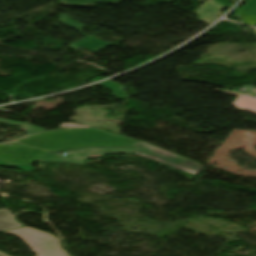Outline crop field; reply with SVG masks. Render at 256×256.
Here are the masks:
<instances>
[{
  "label": "crop field",
  "mask_w": 256,
  "mask_h": 256,
  "mask_svg": "<svg viewBox=\"0 0 256 256\" xmlns=\"http://www.w3.org/2000/svg\"><path fill=\"white\" fill-rule=\"evenodd\" d=\"M9 212L6 209L0 210V230L22 226L13 219L14 216ZM4 232L21 237L38 256H69L60 246L59 239L53 235L30 227ZM0 256L7 255L0 252Z\"/></svg>",
  "instance_id": "crop-field-2"
},
{
  "label": "crop field",
  "mask_w": 256,
  "mask_h": 256,
  "mask_svg": "<svg viewBox=\"0 0 256 256\" xmlns=\"http://www.w3.org/2000/svg\"><path fill=\"white\" fill-rule=\"evenodd\" d=\"M121 1L123 0H61V4L65 6L84 7L92 3L118 4Z\"/></svg>",
  "instance_id": "crop-field-8"
},
{
  "label": "crop field",
  "mask_w": 256,
  "mask_h": 256,
  "mask_svg": "<svg viewBox=\"0 0 256 256\" xmlns=\"http://www.w3.org/2000/svg\"><path fill=\"white\" fill-rule=\"evenodd\" d=\"M136 141L106 133L102 130H63L40 133L0 145V159L12 164H30L48 151H60L82 146H135Z\"/></svg>",
  "instance_id": "crop-field-1"
},
{
  "label": "crop field",
  "mask_w": 256,
  "mask_h": 256,
  "mask_svg": "<svg viewBox=\"0 0 256 256\" xmlns=\"http://www.w3.org/2000/svg\"><path fill=\"white\" fill-rule=\"evenodd\" d=\"M133 153V147L121 148H80L67 151V156L51 155L37 162L76 163L85 164L86 160L105 154Z\"/></svg>",
  "instance_id": "crop-field-4"
},
{
  "label": "crop field",
  "mask_w": 256,
  "mask_h": 256,
  "mask_svg": "<svg viewBox=\"0 0 256 256\" xmlns=\"http://www.w3.org/2000/svg\"><path fill=\"white\" fill-rule=\"evenodd\" d=\"M0 165L15 166V167H17V168H19V169H21L25 172H31V171L35 170V168L33 166H29V165H11V164H8V163H6L4 161H1V160H0Z\"/></svg>",
  "instance_id": "crop-field-11"
},
{
  "label": "crop field",
  "mask_w": 256,
  "mask_h": 256,
  "mask_svg": "<svg viewBox=\"0 0 256 256\" xmlns=\"http://www.w3.org/2000/svg\"><path fill=\"white\" fill-rule=\"evenodd\" d=\"M135 155L160 161L195 175L203 170L201 163L175 155L143 142H137L135 146Z\"/></svg>",
  "instance_id": "crop-field-3"
},
{
  "label": "crop field",
  "mask_w": 256,
  "mask_h": 256,
  "mask_svg": "<svg viewBox=\"0 0 256 256\" xmlns=\"http://www.w3.org/2000/svg\"><path fill=\"white\" fill-rule=\"evenodd\" d=\"M228 7L214 1L206 0L197 10L196 13L200 21L210 25L214 22L219 16L222 15V12Z\"/></svg>",
  "instance_id": "crop-field-6"
},
{
  "label": "crop field",
  "mask_w": 256,
  "mask_h": 256,
  "mask_svg": "<svg viewBox=\"0 0 256 256\" xmlns=\"http://www.w3.org/2000/svg\"><path fill=\"white\" fill-rule=\"evenodd\" d=\"M100 86L107 88L109 90H112L116 99H126L128 98L123 90V86L113 83L111 81H107L103 84H100Z\"/></svg>",
  "instance_id": "crop-field-9"
},
{
  "label": "crop field",
  "mask_w": 256,
  "mask_h": 256,
  "mask_svg": "<svg viewBox=\"0 0 256 256\" xmlns=\"http://www.w3.org/2000/svg\"><path fill=\"white\" fill-rule=\"evenodd\" d=\"M60 127H70V128H75V127H84V128H89L88 126L75 125V124H73V123L60 124Z\"/></svg>",
  "instance_id": "crop-field-13"
},
{
  "label": "crop field",
  "mask_w": 256,
  "mask_h": 256,
  "mask_svg": "<svg viewBox=\"0 0 256 256\" xmlns=\"http://www.w3.org/2000/svg\"><path fill=\"white\" fill-rule=\"evenodd\" d=\"M59 22H61L65 26H69V27L76 29L81 35H83L85 37L84 39L69 45V47H71L75 50L83 47L88 50L99 52V51L113 45L108 42L97 40L93 36L85 35L83 32L86 28V25H84V24L64 15V14H62Z\"/></svg>",
  "instance_id": "crop-field-5"
},
{
  "label": "crop field",
  "mask_w": 256,
  "mask_h": 256,
  "mask_svg": "<svg viewBox=\"0 0 256 256\" xmlns=\"http://www.w3.org/2000/svg\"><path fill=\"white\" fill-rule=\"evenodd\" d=\"M216 91L238 96L236 101L233 103V106L256 114V98L218 89H216Z\"/></svg>",
  "instance_id": "crop-field-7"
},
{
  "label": "crop field",
  "mask_w": 256,
  "mask_h": 256,
  "mask_svg": "<svg viewBox=\"0 0 256 256\" xmlns=\"http://www.w3.org/2000/svg\"><path fill=\"white\" fill-rule=\"evenodd\" d=\"M200 1H203V0H200Z\"/></svg>",
  "instance_id": "crop-field-14"
},
{
  "label": "crop field",
  "mask_w": 256,
  "mask_h": 256,
  "mask_svg": "<svg viewBox=\"0 0 256 256\" xmlns=\"http://www.w3.org/2000/svg\"><path fill=\"white\" fill-rule=\"evenodd\" d=\"M0 123H5V124H9V125L20 127L21 130H23V131H25V132H27L29 134L45 131L44 129L37 128V127H35L33 125L24 124V123H17V122H11V121L2 120V119H0Z\"/></svg>",
  "instance_id": "crop-field-10"
},
{
  "label": "crop field",
  "mask_w": 256,
  "mask_h": 256,
  "mask_svg": "<svg viewBox=\"0 0 256 256\" xmlns=\"http://www.w3.org/2000/svg\"><path fill=\"white\" fill-rule=\"evenodd\" d=\"M242 9L256 12V0H248Z\"/></svg>",
  "instance_id": "crop-field-12"
}]
</instances>
